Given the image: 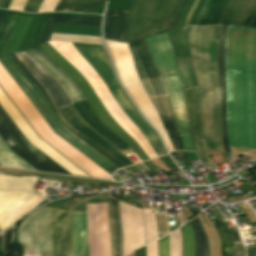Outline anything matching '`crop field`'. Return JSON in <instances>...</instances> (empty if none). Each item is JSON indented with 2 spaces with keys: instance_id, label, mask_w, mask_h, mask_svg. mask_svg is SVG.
Segmentation results:
<instances>
[{
  "instance_id": "obj_6",
  "label": "crop field",
  "mask_w": 256,
  "mask_h": 256,
  "mask_svg": "<svg viewBox=\"0 0 256 256\" xmlns=\"http://www.w3.org/2000/svg\"><path fill=\"white\" fill-rule=\"evenodd\" d=\"M133 44H134L135 49L142 61L143 66H144L153 86H154V89L156 92V97L168 95L166 85H165V83H164V81H163L147 47H146L144 40L143 39L139 40ZM133 44H129L128 46L131 50L134 65L138 72L141 83H142L145 91L147 92L149 98L155 97L154 89L148 79V76L141 64V61L134 49ZM150 100L153 103V105H154V107H155V109H156L168 135H169L173 149L174 150H184L183 146H182L181 139H180L179 131L176 127V124H175V121H174V118H173V115L171 112L168 96L153 98Z\"/></svg>"
},
{
  "instance_id": "obj_26",
  "label": "crop field",
  "mask_w": 256,
  "mask_h": 256,
  "mask_svg": "<svg viewBox=\"0 0 256 256\" xmlns=\"http://www.w3.org/2000/svg\"><path fill=\"white\" fill-rule=\"evenodd\" d=\"M235 244V256H245V248L238 228L230 229Z\"/></svg>"
},
{
  "instance_id": "obj_22",
  "label": "crop field",
  "mask_w": 256,
  "mask_h": 256,
  "mask_svg": "<svg viewBox=\"0 0 256 256\" xmlns=\"http://www.w3.org/2000/svg\"><path fill=\"white\" fill-rule=\"evenodd\" d=\"M215 227L217 228L222 241V256H234V244L226 224L224 222L218 223L215 224Z\"/></svg>"
},
{
  "instance_id": "obj_25",
  "label": "crop field",
  "mask_w": 256,
  "mask_h": 256,
  "mask_svg": "<svg viewBox=\"0 0 256 256\" xmlns=\"http://www.w3.org/2000/svg\"><path fill=\"white\" fill-rule=\"evenodd\" d=\"M181 231L183 236L184 256H194L195 241L190 223L181 227Z\"/></svg>"
},
{
  "instance_id": "obj_37",
  "label": "crop field",
  "mask_w": 256,
  "mask_h": 256,
  "mask_svg": "<svg viewBox=\"0 0 256 256\" xmlns=\"http://www.w3.org/2000/svg\"><path fill=\"white\" fill-rule=\"evenodd\" d=\"M10 2H11V0H5L1 8L7 9Z\"/></svg>"
},
{
  "instance_id": "obj_4",
  "label": "crop field",
  "mask_w": 256,
  "mask_h": 256,
  "mask_svg": "<svg viewBox=\"0 0 256 256\" xmlns=\"http://www.w3.org/2000/svg\"><path fill=\"white\" fill-rule=\"evenodd\" d=\"M73 45L87 60V62L95 69V71L98 73V75L101 77V79L109 89L117 104L143 133V135L153 147L157 156L165 154L166 151L161 143L159 136L155 133L151 126L141 117L132 102L129 100L127 95L120 87L104 46L77 43H73Z\"/></svg>"
},
{
  "instance_id": "obj_28",
  "label": "crop field",
  "mask_w": 256,
  "mask_h": 256,
  "mask_svg": "<svg viewBox=\"0 0 256 256\" xmlns=\"http://www.w3.org/2000/svg\"><path fill=\"white\" fill-rule=\"evenodd\" d=\"M49 17H50V15H45L44 16V18H43V20H42V22H41V24H40L36 34L34 35L32 41H31V43L29 45V47L37 45V43H38V41H39V39H40V37L42 35V32H43V30H44V28L46 26V23H47Z\"/></svg>"
},
{
  "instance_id": "obj_27",
  "label": "crop field",
  "mask_w": 256,
  "mask_h": 256,
  "mask_svg": "<svg viewBox=\"0 0 256 256\" xmlns=\"http://www.w3.org/2000/svg\"><path fill=\"white\" fill-rule=\"evenodd\" d=\"M158 256H169L168 235L158 240Z\"/></svg>"
},
{
  "instance_id": "obj_8",
  "label": "crop field",
  "mask_w": 256,
  "mask_h": 256,
  "mask_svg": "<svg viewBox=\"0 0 256 256\" xmlns=\"http://www.w3.org/2000/svg\"><path fill=\"white\" fill-rule=\"evenodd\" d=\"M20 62L31 72V74L44 86L49 95L55 102L58 109L71 105V102L60 84L40 67L24 50L15 52ZM66 121L72 125L80 133L96 142L102 148L110 152L116 158L125 164H133V162L115 148L109 141L105 140L98 133L92 130L77 114L73 106L59 110Z\"/></svg>"
},
{
  "instance_id": "obj_17",
  "label": "crop field",
  "mask_w": 256,
  "mask_h": 256,
  "mask_svg": "<svg viewBox=\"0 0 256 256\" xmlns=\"http://www.w3.org/2000/svg\"><path fill=\"white\" fill-rule=\"evenodd\" d=\"M128 12L107 9L104 21V36L122 41Z\"/></svg>"
},
{
  "instance_id": "obj_32",
  "label": "crop field",
  "mask_w": 256,
  "mask_h": 256,
  "mask_svg": "<svg viewBox=\"0 0 256 256\" xmlns=\"http://www.w3.org/2000/svg\"><path fill=\"white\" fill-rule=\"evenodd\" d=\"M70 1H71V0H61V1L58 3V5H57L55 11H64L65 8H66V7L68 6V4L70 3Z\"/></svg>"
},
{
  "instance_id": "obj_35",
  "label": "crop field",
  "mask_w": 256,
  "mask_h": 256,
  "mask_svg": "<svg viewBox=\"0 0 256 256\" xmlns=\"http://www.w3.org/2000/svg\"><path fill=\"white\" fill-rule=\"evenodd\" d=\"M50 1L51 0H44L38 12L45 11Z\"/></svg>"
},
{
  "instance_id": "obj_36",
  "label": "crop field",
  "mask_w": 256,
  "mask_h": 256,
  "mask_svg": "<svg viewBox=\"0 0 256 256\" xmlns=\"http://www.w3.org/2000/svg\"><path fill=\"white\" fill-rule=\"evenodd\" d=\"M175 153L178 156L180 161L187 159L186 156L184 155V152H175Z\"/></svg>"
},
{
  "instance_id": "obj_16",
  "label": "crop field",
  "mask_w": 256,
  "mask_h": 256,
  "mask_svg": "<svg viewBox=\"0 0 256 256\" xmlns=\"http://www.w3.org/2000/svg\"><path fill=\"white\" fill-rule=\"evenodd\" d=\"M227 25L221 26L219 48H218V66H219V86L222 111V131L223 144L226 152L230 153L227 143V118H226V85H225V44H226Z\"/></svg>"
},
{
  "instance_id": "obj_18",
  "label": "crop field",
  "mask_w": 256,
  "mask_h": 256,
  "mask_svg": "<svg viewBox=\"0 0 256 256\" xmlns=\"http://www.w3.org/2000/svg\"><path fill=\"white\" fill-rule=\"evenodd\" d=\"M101 18L52 15L39 41V44L50 39L51 33L57 23L100 26Z\"/></svg>"
},
{
  "instance_id": "obj_1",
  "label": "crop field",
  "mask_w": 256,
  "mask_h": 256,
  "mask_svg": "<svg viewBox=\"0 0 256 256\" xmlns=\"http://www.w3.org/2000/svg\"><path fill=\"white\" fill-rule=\"evenodd\" d=\"M226 83L229 146L256 148V27L228 25Z\"/></svg>"
},
{
  "instance_id": "obj_39",
  "label": "crop field",
  "mask_w": 256,
  "mask_h": 256,
  "mask_svg": "<svg viewBox=\"0 0 256 256\" xmlns=\"http://www.w3.org/2000/svg\"><path fill=\"white\" fill-rule=\"evenodd\" d=\"M4 16H5L4 13H0V24H1V22H2V20H3V18H4Z\"/></svg>"
},
{
  "instance_id": "obj_31",
  "label": "crop field",
  "mask_w": 256,
  "mask_h": 256,
  "mask_svg": "<svg viewBox=\"0 0 256 256\" xmlns=\"http://www.w3.org/2000/svg\"><path fill=\"white\" fill-rule=\"evenodd\" d=\"M147 256H157V240L146 245Z\"/></svg>"
},
{
  "instance_id": "obj_13",
  "label": "crop field",
  "mask_w": 256,
  "mask_h": 256,
  "mask_svg": "<svg viewBox=\"0 0 256 256\" xmlns=\"http://www.w3.org/2000/svg\"><path fill=\"white\" fill-rule=\"evenodd\" d=\"M53 256H72L70 212L49 208Z\"/></svg>"
},
{
  "instance_id": "obj_15",
  "label": "crop field",
  "mask_w": 256,
  "mask_h": 256,
  "mask_svg": "<svg viewBox=\"0 0 256 256\" xmlns=\"http://www.w3.org/2000/svg\"><path fill=\"white\" fill-rule=\"evenodd\" d=\"M10 57L12 58V60L14 61V63L37 85V87L41 90V92L43 93L44 97L47 99V101L49 102L50 106L52 107L54 113L56 114L57 118L60 120V122L74 135H76L77 137H79L81 140H83L84 142H86L88 145H90L91 147H93L95 150H97L98 152H100L102 155H104L106 158H108L110 161H112L116 166H118L119 168H122L126 165H124L122 162H120L119 160H117L114 156H112L110 153H108L107 151H105L104 149H102L101 147H99L97 144H95L94 142H92L91 140H89L88 138L84 137L82 134H80L79 132H77L73 127H71L63 118V116L60 114V112L58 111V109L56 108V106L54 105L52 99L50 98V96L48 95L47 91L42 87V85L30 74V72L19 62V60L16 58V56L14 55V53L9 54Z\"/></svg>"
},
{
  "instance_id": "obj_10",
  "label": "crop field",
  "mask_w": 256,
  "mask_h": 256,
  "mask_svg": "<svg viewBox=\"0 0 256 256\" xmlns=\"http://www.w3.org/2000/svg\"><path fill=\"white\" fill-rule=\"evenodd\" d=\"M39 49L45 53L50 59L64 69L77 83L84 96L88 100L94 114L98 119L105 124L110 130L117 134L122 140H124L140 157L141 161L147 160L146 155L141 148L115 123L110 116L106 113L105 109L101 105L97 95L92 90L91 86L62 55H60L48 42L39 45ZM104 125V126H105ZM111 131V132H112Z\"/></svg>"
},
{
  "instance_id": "obj_20",
  "label": "crop field",
  "mask_w": 256,
  "mask_h": 256,
  "mask_svg": "<svg viewBox=\"0 0 256 256\" xmlns=\"http://www.w3.org/2000/svg\"><path fill=\"white\" fill-rule=\"evenodd\" d=\"M104 0H72L66 11L96 13Z\"/></svg>"
},
{
  "instance_id": "obj_34",
  "label": "crop field",
  "mask_w": 256,
  "mask_h": 256,
  "mask_svg": "<svg viewBox=\"0 0 256 256\" xmlns=\"http://www.w3.org/2000/svg\"><path fill=\"white\" fill-rule=\"evenodd\" d=\"M60 0H52L47 11H53L55 6L57 5V3L59 2Z\"/></svg>"
},
{
  "instance_id": "obj_38",
  "label": "crop field",
  "mask_w": 256,
  "mask_h": 256,
  "mask_svg": "<svg viewBox=\"0 0 256 256\" xmlns=\"http://www.w3.org/2000/svg\"><path fill=\"white\" fill-rule=\"evenodd\" d=\"M113 1H121V2H129V3L133 2V0H113Z\"/></svg>"
},
{
  "instance_id": "obj_9",
  "label": "crop field",
  "mask_w": 256,
  "mask_h": 256,
  "mask_svg": "<svg viewBox=\"0 0 256 256\" xmlns=\"http://www.w3.org/2000/svg\"><path fill=\"white\" fill-rule=\"evenodd\" d=\"M183 28L175 29L170 32H166V36L170 43L171 49L174 54V58L177 63L178 72L180 74L181 82L184 88H188L183 55H182V43H181V33ZM186 98L189 108V119L191 135L194 141V145L199 158L203 161L207 168L212 169L209 164L213 161L208 153L206 144L202 136V116H201V106L198 88L185 89ZM208 157L209 159H207Z\"/></svg>"
},
{
  "instance_id": "obj_29",
  "label": "crop field",
  "mask_w": 256,
  "mask_h": 256,
  "mask_svg": "<svg viewBox=\"0 0 256 256\" xmlns=\"http://www.w3.org/2000/svg\"><path fill=\"white\" fill-rule=\"evenodd\" d=\"M43 0H28L23 11L37 13Z\"/></svg>"
},
{
  "instance_id": "obj_12",
  "label": "crop field",
  "mask_w": 256,
  "mask_h": 256,
  "mask_svg": "<svg viewBox=\"0 0 256 256\" xmlns=\"http://www.w3.org/2000/svg\"><path fill=\"white\" fill-rule=\"evenodd\" d=\"M91 256H110L107 203L86 204Z\"/></svg>"
},
{
  "instance_id": "obj_5",
  "label": "crop field",
  "mask_w": 256,
  "mask_h": 256,
  "mask_svg": "<svg viewBox=\"0 0 256 256\" xmlns=\"http://www.w3.org/2000/svg\"><path fill=\"white\" fill-rule=\"evenodd\" d=\"M0 63L56 134H58L60 137H62L64 140H66L68 143H70L72 146H74L76 149H78L80 152H82L84 155H86L108 173L111 174L113 170L118 168L104 156L95 151L93 148H91L79 138L71 134L59 122V120L53 114L48 102L43 97L42 93L29 80V78L13 63L9 55L0 57Z\"/></svg>"
},
{
  "instance_id": "obj_30",
  "label": "crop field",
  "mask_w": 256,
  "mask_h": 256,
  "mask_svg": "<svg viewBox=\"0 0 256 256\" xmlns=\"http://www.w3.org/2000/svg\"><path fill=\"white\" fill-rule=\"evenodd\" d=\"M27 0H13L9 9L22 11Z\"/></svg>"
},
{
  "instance_id": "obj_33",
  "label": "crop field",
  "mask_w": 256,
  "mask_h": 256,
  "mask_svg": "<svg viewBox=\"0 0 256 256\" xmlns=\"http://www.w3.org/2000/svg\"><path fill=\"white\" fill-rule=\"evenodd\" d=\"M247 256H256V244L246 247Z\"/></svg>"
},
{
  "instance_id": "obj_23",
  "label": "crop field",
  "mask_w": 256,
  "mask_h": 256,
  "mask_svg": "<svg viewBox=\"0 0 256 256\" xmlns=\"http://www.w3.org/2000/svg\"><path fill=\"white\" fill-rule=\"evenodd\" d=\"M50 40L103 44L101 37L53 33Z\"/></svg>"
},
{
  "instance_id": "obj_24",
  "label": "crop field",
  "mask_w": 256,
  "mask_h": 256,
  "mask_svg": "<svg viewBox=\"0 0 256 256\" xmlns=\"http://www.w3.org/2000/svg\"><path fill=\"white\" fill-rule=\"evenodd\" d=\"M19 16L17 15H12V14H6L3 23L0 27V53L15 25L17 22Z\"/></svg>"
},
{
  "instance_id": "obj_7",
  "label": "crop field",
  "mask_w": 256,
  "mask_h": 256,
  "mask_svg": "<svg viewBox=\"0 0 256 256\" xmlns=\"http://www.w3.org/2000/svg\"><path fill=\"white\" fill-rule=\"evenodd\" d=\"M144 40L168 87L170 101L185 150L194 151L188 127L184 92L167 38L163 33Z\"/></svg>"
},
{
  "instance_id": "obj_2",
  "label": "crop field",
  "mask_w": 256,
  "mask_h": 256,
  "mask_svg": "<svg viewBox=\"0 0 256 256\" xmlns=\"http://www.w3.org/2000/svg\"><path fill=\"white\" fill-rule=\"evenodd\" d=\"M188 0H135L128 14L123 41L175 29Z\"/></svg>"
},
{
  "instance_id": "obj_14",
  "label": "crop field",
  "mask_w": 256,
  "mask_h": 256,
  "mask_svg": "<svg viewBox=\"0 0 256 256\" xmlns=\"http://www.w3.org/2000/svg\"><path fill=\"white\" fill-rule=\"evenodd\" d=\"M26 52L32 56L37 63L45 68L66 90L72 103L85 100L77 85L59 66L44 55L37 46L26 49Z\"/></svg>"
},
{
  "instance_id": "obj_19",
  "label": "crop field",
  "mask_w": 256,
  "mask_h": 256,
  "mask_svg": "<svg viewBox=\"0 0 256 256\" xmlns=\"http://www.w3.org/2000/svg\"><path fill=\"white\" fill-rule=\"evenodd\" d=\"M109 218L112 239V256H122V230L118 201L109 197Z\"/></svg>"
},
{
  "instance_id": "obj_11",
  "label": "crop field",
  "mask_w": 256,
  "mask_h": 256,
  "mask_svg": "<svg viewBox=\"0 0 256 256\" xmlns=\"http://www.w3.org/2000/svg\"><path fill=\"white\" fill-rule=\"evenodd\" d=\"M0 137L6 145L37 170L70 174L30 144L0 106Z\"/></svg>"
},
{
  "instance_id": "obj_3",
  "label": "crop field",
  "mask_w": 256,
  "mask_h": 256,
  "mask_svg": "<svg viewBox=\"0 0 256 256\" xmlns=\"http://www.w3.org/2000/svg\"><path fill=\"white\" fill-rule=\"evenodd\" d=\"M0 85L27 118L40 137L92 177L111 179V175L56 135L0 64Z\"/></svg>"
},
{
  "instance_id": "obj_21",
  "label": "crop field",
  "mask_w": 256,
  "mask_h": 256,
  "mask_svg": "<svg viewBox=\"0 0 256 256\" xmlns=\"http://www.w3.org/2000/svg\"><path fill=\"white\" fill-rule=\"evenodd\" d=\"M191 225H192V228L195 234V239H196L195 256H209L206 236L198 219L195 220L193 223H191Z\"/></svg>"
}]
</instances>
